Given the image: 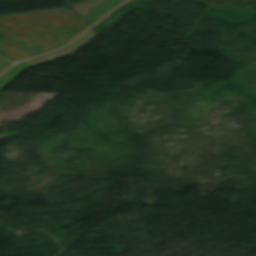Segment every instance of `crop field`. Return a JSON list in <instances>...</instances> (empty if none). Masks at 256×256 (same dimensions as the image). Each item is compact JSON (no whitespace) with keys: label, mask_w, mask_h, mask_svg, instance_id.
I'll return each instance as SVG.
<instances>
[{"label":"crop field","mask_w":256,"mask_h":256,"mask_svg":"<svg viewBox=\"0 0 256 256\" xmlns=\"http://www.w3.org/2000/svg\"><path fill=\"white\" fill-rule=\"evenodd\" d=\"M124 0H107L85 18H83L90 26L94 24L98 19H100L104 14L113 9L119 3Z\"/></svg>","instance_id":"crop-field-1"},{"label":"crop field","mask_w":256,"mask_h":256,"mask_svg":"<svg viewBox=\"0 0 256 256\" xmlns=\"http://www.w3.org/2000/svg\"><path fill=\"white\" fill-rule=\"evenodd\" d=\"M26 68H29V66L20 63L9 69L5 74L0 77V89L3 88L7 83H9L14 77H16Z\"/></svg>","instance_id":"crop-field-2"},{"label":"crop field","mask_w":256,"mask_h":256,"mask_svg":"<svg viewBox=\"0 0 256 256\" xmlns=\"http://www.w3.org/2000/svg\"><path fill=\"white\" fill-rule=\"evenodd\" d=\"M12 63L0 58V73L6 69L9 65H11Z\"/></svg>","instance_id":"crop-field-3"}]
</instances>
